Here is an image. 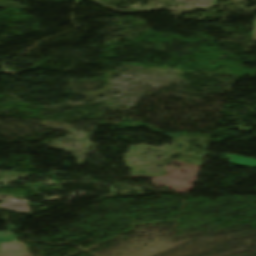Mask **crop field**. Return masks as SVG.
<instances>
[{"label": "crop field", "instance_id": "obj_1", "mask_svg": "<svg viewBox=\"0 0 256 256\" xmlns=\"http://www.w3.org/2000/svg\"><path fill=\"white\" fill-rule=\"evenodd\" d=\"M0 256H29L15 236L0 235Z\"/></svg>", "mask_w": 256, "mask_h": 256}, {"label": "crop field", "instance_id": "obj_2", "mask_svg": "<svg viewBox=\"0 0 256 256\" xmlns=\"http://www.w3.org/2000/svg\"><path fill=\"white\" fill-rule=\"evenodd\" d=\"M226 159L230 160L232 164L244 166V167H250V168H256V160L237 156V155H227Z\"/></svg>", "mask_w": 256, "mask_h": 256}]
</instances>
